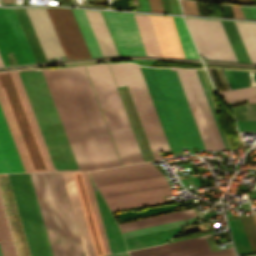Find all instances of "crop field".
<instances>
[{"label":"crop field","instance_id":"obj_14","mask_svg":"<svg viewBox=\"0 0 256 256\" xmlns=\"http://www.w3.org/2000/svg\"><path fill=\"white\" fill-rule=\"evenodd\" d=\"M130 256H235L233 248L211 252L204 236L129 252Z\"/></svg>","mask_w":256,"mask_h":256},{"label":"crop field","instance_id":"obj_30","mask_svg":"<svg viewBox=\"0 0 256 256\" xmlns=\"http://www.w3.org/2000/svg\"><path fill=\"white\" fill-rule=\"evenodd\" d=\"M197 218H192V219L182 220V221H178V222H173V223H168V224H163V225L143 228V229H139V230L124 232L122 234H123V237L126 238V237H131V236L151 233V232H155V231H160V230H165V229L185 226V225L190 224L191 222H193Z\"/></svg>","mask_w":256,"mask_h":256},{"label":"crop field","instance_id":"obj_5","mask_svg":"<svg viewBox=\"0 0 256 256\" xmlns=\"http://www.w3.org/2000/svg\"><path fill=\"white\" fill-rule=\"evenodd\" d=\"M0 82L33 171H55L18 72L0 73Z\"/></svg>","mask_w":256,"mask_h":256},{"label":"crop field","instance_id":"obj_10","mask_svg":"<svg viewBox=\"0 0 256 256\" xmlns=\"http://www.w3.org/2000/svg\"><path fill=\"white\" fill-rule=\"evenodd\" d=\"M110 210L164 202L172 194L164 177L98 187Z\"/></svg>","mask_w":256,"mask_h":256},{"label":"crop field","instance_id":"obj_24","mask_svg":"<svg viewBox=\"0 0 256 256\" xmlns=\"http://www.w3.org/2000/svg\"><path fill=\"white\" fill-rule=\"evenodd\" d=\"M0 104L2 107V110L4 112L5 118L7 120L8 126L10 128L11 134L13 136L14 142L16 144L17 150L19 152L20 158L22 160L23 166L25 168L26 172H33L32 168L30 166L29 160L27 158L26 152L24 150L22 141L20 139L19 133L17 131L16 125L14 123L12 114L10 112L9 106L7 104L5 95L3 93L2 87L0 85Z\"/></svg>","mask_w":256,"mask_h":256},{"label":"crop field","instance_id":"obj_20","mask_svg":"<svg viewBox=\"0 0 256 256\" xmlns=\"http://www.w3.org/2000/svg\"><path fill=\"white\" fill-rule=\"evenodd\" d=\"M103 56L118 55L100 12L84 10Z\"/></svg>","mask_w":256,"mask_h":256},{"label":"crop field","instance_id":"obj_31","mask_svg":"<svg viewBox=\"0 0 256 256\" xmlns=\"http://www.w3.org/2000/svg\"><path fill=\"white\" fill-rule=\"evenodd\" d=\"M83 173H84L85 181H86V184H87L88 192H89V195H90L91 203H92V206H93V210H94V213H95L96 221H97V224H98L99 232H100V235H101L102 243H103V246H104L105 254L109 255V254H111L110 249H109L108 242H107V239H106V236H105V232H104L103 225H102V222H101V218H100V215H99V212H98V208H97V205H96L94 194H93V191H92V188H91L89 177H88L86 172H83Z\"/></svg>","mask_w":256,"mask_h":256},{"label":"crop field","instance_id":"obj_17","mask_svg":"<svg viewBox=\"0 0 256 256\" xmlns=\"http://www.w3.org/2000/svg\"><path fill=\"white\" fill-rule=\"evenodd\" d=\"M46 58L65 55L45 8L25 9Z\"/></svg>","mask_w":256,"mask_h":256},{"label":"crop field","instance_id":"obj_7","mask_svg":"<svg viewBox=\"0 0 256 256\" xmlns=\"http://www.w3.org/2000/svg\"><path fill=\"white\" fill-rule=\"evenodd\" d=\"M32 256H52L29 174H8Z\"/></svg>","mask_w":256,"mask_h":256},{"label":"crop field","instance_id":"obj_33","mask_svg":"<svg viewBox=\"0 0 256 256\" xmlns=\"http://www.w3.org/2000/svg\"><path fill=\"white\" fill-rule=\"evenodd\" d=\"M11 240L4 212L0 202V241Z\"/></svg>","mask_w":256,"mask_h":256},{"label":"crop field","instance_id":"obj_35","mask_svg":"<svg viewBox=\"0 0 256 256\" xmlns=\"http://www.w3.org/2000/svg\"><path fill=\"white\" fill-rule=\"evenodd\" d=\"M239 131L256 132V121H236Z\"/></svg>","mask_w":256,"mask_h":256},{"label":"crop field","instance_id":"obj_12","mask_svg":"<svg viewBox=\"0 0 256 256\" xmlns=\"http://www.w3.org/2000/svg\"><path fill=\"white\" fill-rule=\"evenodd\" d=\"M186 22L202 56L237 61L220 21L186 18Z\"/></svg>","mask_w":256,"mask_h":256},{"label":"crop field","instance_id":"obj_1","mask_svg":"<svg viewBox=\"0 0 256 256\" xmlns=\"http://www.w3.org/2000/svg\"><path fill=\"white\" fill-rule=\"evenodd\" d=\"M30 175L53 256H85L62 174Z\"/></svg>","mask_w":256,"mask_h":256},{"label":"crop field","instance_id":"obj_16","mask_svg":"<svg viewBox=\"0 0 256 256\" xmlns=\"http://www.w3.org/2000/svg\"><path fill=\"white\" fill-rule=\"evenodd\" d=\"M96 186L162 176L150 162L89 172Z\"/></svg>","mask_w":256,"mask_h":256},{"label":"crop field","instance_id":"obj_21","mask_svg":"<svg viewBox=\"0 0 256 256\" xmlns=\"http://www.w3.org/2000/svg\"><path fill=\"white\" fill-rule=\"evenodd\" d=\"M101 213L102 221L108 238L111 253H119L126 251L120 231L109 212L106 204L98 205Z\"/></svg>","mask_w":256,"mask_h":256},{"label":"crop field","instance_id":"obj_23","mask_svg":"<svg viewBox=\"0 0 256 256\" xmlns=\"http://www.w3.org/2000/svg\"><path fill=\"white\" fill-rule=\"evenodd\" d=\"M146 55L161 56L148 15L134 14Z\"/></svg>","mask_w":256,"mask_h":256},{"label":"crop field","instance_id":"obj_19","mask_svg":"<svg viewBox=\"0 0 256 256\" xmlns=\"http://www.w3.org/2000/svg\"><path fill=\"white\" fill-rule=\"evenodd\" d=\"M194 147L204 149L175 70L164 69ZM205 150V149H204Z\"/></svg>","mask_w":256,"mask_h":256},{"label":"crop field","instance_id":"obj_11","mask_svg":"<svg viewBox=\"0 0 256 256\" xmlns=\"http://www.w3.org/2000/svg\"><path fill=\"white\" fill-rule=\"evenodd\" d=\"M206 150H225L195 70L176 69Z\"/></svg>","mask_w":256,"mask_h":256},{"label":"crop field","instance_id":"obj_25","mask_svg":"<svg viewBox=\"0 0 256 256\" xmlns=\"http://www.w3.org/2000/svg\"><path fill=\"white\" fill-rule=\"evenodd\" d=\"M36 62L46 61L24 9H14Z\"/></svg>","mask_w":256,"mask_h":256},{"label":"crop field","instance_id":"obj_27","mask_svg":"<svg viewBox=\"0 0 256 256\" xmlns=\"http://www.w3.org/2000/svg\"><path fill=\"white\" fill-rule=\"evenodd\" d=\"M92 57L102 56L83 10L72 9Z\"/></svg>","mask_w":256,"mask_h":256},{"label":"crop field","instance_id":"obj_36","mask_svg":"<svg viewBox=\"0 0 256 256\" xmlns=\"http://www.w3.org/2000/svg\"><path fill=\"white\" fill-rule=\"evenodd\" d=\"M116 256H128V255H127V252H125V253L117 254Z\"/></svg>","mask_w":256,"mask_h":256},{"label":"crop field","instance_id":"obj_39","mask_svg":"<svg viewBox=\"0 0 256 256\" xmlns=\"http://www.w3.org/2000/svg\"><path fill=\"white\" fill-rule=\"evenodd\" d=\"M256 147V146H255Z\"/></svg>","mask_w":256,"mask_h":256},{"label":"crop field","instance_id":"obj_32","mask_svg":"<svg viewBox=\"0 0 256 256\" xmlns=\"http://www.w3.org/2000/svg\"><path fill=\"white\" fill-rule=\"evenodd\" d=\"M235 120H256V103H246L230 107Z\"/></svg>","mask_w":256,"mask_h":256},{"label":"crop field","instance_id":"obj_15","mask_svg":"<svg viewBox=\"0 0 256 256\" xmlns=\"http://www.w3.org/2000/svg\"><path fill=\"white\" fill-rule=\"evenodd\" d=\"M122 55H145L133 14L104 12Z\"/></svg>","mask_w":256,"mask_h":256},{"label":"crop field","instance_id":"obj_28","mask_svg":"<svg viewBox=\"0 0 256 256\" xmlns=\"http://www.w3.org/2000/svg\"><path fill=\"white\" fill-rule=\"evenodd\" d=\"M238 61L250 62L233 22L221 21Z\"/></svg>","mask_w":256,"mask_h":256},{"label":"crop field","instance_id":"obj_9","mask_svg":"<svg viewBox=\"0 0 256 256\" xmlns=\"http://www.w3.org/2000/svg\"><path fill=\"white\" fill-rule=\"evenodd\" d=\"M62 174L86 256L105 255L83 173Z\"/></svg>","mask_w":256,"mask_h":256},{"label":"crop field","instance_id":"obj_6","mask_svg":"<svg viewBox=\"0 0 256 256\" xmlns=\"http://www.w3.org/2000/svg\"><path fill=\"white\" fill-rule=\"evenodd\" d=\"M173 156L191 148L189 136L163 69L140 67Z\"/></svg>","mask_w":256,"mask_h":256},{"label":"crop field","instance_id":"obj_34","mask_svg":"<svg viewBox=\"0 0 256 256\" xmlns=\"http://www.w3.org/2000/svg\"><path fill=\"white\" fill-rule=\"evenodd\" d=\"M3 256H16L12 241L0 242Z\"/></svg>","mask_w":256,"mask_h":256},{"label":"crop field","instance_id":"obj_2","mask_svg":"<svg viewBox=\"0 0 256 256\" xmlns=\"http://www.w3.org/2000/svg\"><path fill=\"white\" fill-rule=\"evenodd\" d=\"M42 70L79 169L104 168L67 69Z\"/></svg>","mask_w":256,"mask_h":256},{"label":"crop field","instance_id":"obj_37","mask_svg":"<svg viewBox=\"0 0 256 256\" xmlns=\"http://www.w3.org/2000/svg\"><path fill=\"white\" fill-rule=\"evenodd\" d=\"M0 256H2V254H1V250H0Z\"/></svg>","mask_w":256,"mask_h":256},{"label":"crop field","instance_id":"obj_4","mask_svg":"<svg viewBox=\"0 0 256 256\" xmlns=\"http://www.w3.org/2000/svg\"><path fill=\"white\" fill-rule=\"evenodd\" d=\"M123 165L144 161L107 65L86 67Z\"/></svg>","mask_w":256,"mask_h":256},{"label":"crop field","instance_id":"obj_29","mask_svg":"<svg viewBox=\"0 0 256 256\" xmlns=\"http://www.w3.org/2000/svg\"><path fill=\"white\" fill-rule=\"evenodd\" d=\"M228 103L247 99L248 102H256V87H246L218 93Z\"/></svg>","mask_w":256,"mask_h":256},{"label":"crop field","instance_id":"obj_18","mask_svg":"<svg viewBox=\"0 0 256 256\" xmlns=\"http://www.w3.org/2000/svg\"><path fill=\"white\" fill-rule=\"evenodd\" d=\"M164 57L184 58L171 17L149 15Z\"/></svg>","mask_w":256,"mask_h":256},{"label":"crop field","instance_id":"obj_22","mask_svg":"<svg viewBox=\"0 0 256 256\" xmlns=\"http://www.w3.org/2000/svg\"><path fill=\"white\" fill-rule=\"evenodd\" d=\"M186 227V226H185ZM184 227L124 239L128 250L165 243Z\"/></svg>","mask_w":256,"mask_h":256},{"label":"crop field","instance_id":"obj_13","mask_svg":"<svg viewBox=\"0 0 256 256\" xmlns=\"http://www.w3.org/2000/svg\"><path fill=\"white\" fill-rule=\"evenodd\" d=\"M7 51H14L19 64L35 62L14 10L0 8V56L5 66Z\"/></svg>","mask_w":256,"mask_h":256},{"label":"crop field","instance_id":"obj_26","mask_svg":"<svg viewBox=\"0 0 256 256\" xmlns=\"http://www.w3.org/2000/svg\"><path fill=\"white\" fill-rule=\"evenodd\" d=\"M251 62H256V24L234 22Z\"/></svg>","mask_w":256,"mask_h":256},{"label":"crop field","instance_id":"obj_38","mask_svg":"<svg viewBox=\"0 0 256 256\" xmlns=\"http://www.w3.org/2000/svg\"><path fill=\"white\" fill-rule=\"evenodd\" d=\"M113 256H115V255H113Z\"/></svg>","mask_w":256,"mask_h":256},{"label":"crop field","instance_id":"obj_3","mask_svg":"<svg viewBox=\"0 0 256 256\" xmlns=\"http://www.w3.org/2000/svg\"><path fill=\"white\" fill-rule=\"evenodd\" d=\"M18 72L55 170H79L42 70Z\"/></svg>","mask_w":256,"mask_h":256},{"label":"crop field","instance_id":"obj_8","mask_svg":"<svg viewBox=\"0 0 256 256\" xmlns=\"http://www.w3.org/2000/svg\"><path fill=\"white\" fill-rule=\"evenodd\" d=\"M105 168L120 165L83 67L67 68Z\"/></svg>","mask_w":256,"mask_h":256}]
</instances>
